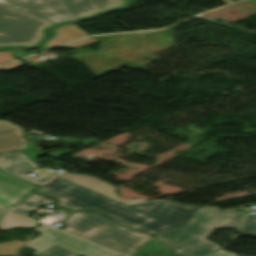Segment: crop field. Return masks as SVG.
<instances>
[{"label": "crop field", "instance_id": "crop-field-1", "mask_svg": "<svg viewBox=\"0 0 256 256\" xmlns=\"http://www.w3.org/2000/svg\"><path fill=\"white\" fill-rule=\"evenodd\" d=\"M37 193L58 200L57 205L70 210L96 211L122 225L154 236L178 226L183 228L198 209L171 201H146L126 206L60 177Z\"/></svg>", "mask_w": 256, "mask_h": 256}, {"label": "crop field", "instance_id": "crop-field-2", "mask_svg": "<svg viewBox=\"0 0 256 256\" xmlns=\"http://www.w3.org/2000/svg\"><path fill=\"white\" fill-rule=\"evenodd\" d=\"M217 207H199L187 225L157 236L178 254L205 256L220 248V245L205 240L215 228H238L244 212L237 209L222 210Z\"/></svg>", "mask_w": 256, "mask_h": 256}, {"label": "crop field", "instance_id": "crop-field-3", "mask_svg": "<svg viewBox=\"0 0 256 256\" xmlns=\"http://www.w3.org/2000/svg\"><path fill=\"white\" fill-rule=\"evenodd\" d=\"M63 222L62 230L127 256H132L153 237L121 227L96 213L74 212Z\"/></svg>", "mask_w": 256, "mask_h": 256}, {"label": "crop field", "instance_id": "crop-field-4", "mask_svg": "<svg viewBox=\"0 0 256 256\" xmlns=\"http://www.w3.org/2000/svg\"><path fill=\"white\" fill-rule=\"evenodd\" d=\"M55 23L0 4V47L33 46L42 30Z\"/></svg>", "mask_w": 256, "mask_h": 256}, {"label": "crop field", "instance_id": "crop-field-5", "mask_svg": "<svg viewBox=\"0 0 256 256\" xmlns=\"http://www.w3.org/2000/svg\"><path fill=\"white\" fill-rule=\"evenodd\" d=\"M37 231L43 234L31 242L27 240L28 243L24 245L36 249L34 256L40 255L55 244L82 256H120L46 226Z\"/></svg>", "mask_w": 256, "mask_h": 256}, {"label": "crop field", "instance_id": "crop-field-6", "mask_svg": "<svg viewBox=\"0 0 256 256\" xmlns=\"http://www.w3.org/2000/svg\"><path fill=\"white\" fill-rule=\"evenodd\" d=\"M0 3L55 23L77 19L59 0H0Z\"/></svg>", "mask_w": 256, "mask_h": 256}, {"label": "crop field", "instance_id": "crop-field-7", "mask_svg": "<svg viewBox=\"0 0 256 256\" xmlns=\"http://www.w3.org/2000/svg\"><path fill=\"white\" fill-rule=\"evenodd\" d=\"M0 169L7 174L21 178L39 186L43 185L44 183L58 175L49 171L48 169L34 171L35 173H39V175L36 177H29L25 175V172L37 169V167L32 164L19 151L1 154Z\"/></svg>", "mask_w": 256, "mask_h": 256}, {"label": "crop field", "instance_id": "crop-field-8", "mask_svg": "<svg viewBox=\"0 0 256 256\" xmlns=\"http://www.w3.org/2000/svg\"><path fill=\"white\" fill-rule=\"evenodd\" d=\"M37 187L0 171V206H11Z\"/></svg>", "mask_w": 256, "mask_h": 256}, {"label": "crop field", "instance_id": "crop-field-9", "mask_svg": "<svg viewBox=\"0 0 256 256\" xmlns=\"http://www.w3.org/2000/svg\"><path fill=\"white\" fill-rule=\"evenodd\" d=\"M60 177L69 180L73 183H76L80 186L89 188L91 190L97 191L113 200H116L118 202L124 203L126 205L145 201L147 199H125V198H119L117 197V194L114 193L115 187L100 181L94 177L85 176V175H78V174H71V173H64L60 175Z\"/></svg>", "mask_w": 256, "mask_h": 256}, {"label": "crop field", "instance_id": "crop-field-10", "mask_svg": "<svg viewBox=\"0 0 256 256\" xmlns=\"http://www.w3.org/2000/svg\"><path fill=\"white\" fill-rule=\"evenodd\" d=\"M80 19L124 5L122 0H60Z\"/></svg>", "mask_w": 256, "mask_h": 256}, {"label": "crop field", "instance_id": "crop-field-11", "mask_svg": "<svg viewBox=\"0 0 256 256\" xmlns=\"http://www.w3.org/2000/svg\"><path fill=\"white\" fill-rule=\"evenodd\" d=\"M23 148L26 147L20 129L9 123L0 122V152Z\"/></svg>", "mask_w": 256, "mask_h": 256}, {"label": "crop field", "instance_id": "crop-field-12", "mask_svg": "<svg viewBox=\"0 0 256 256\" xmlns=\"http://www.w3.org/2000/svg\"><path fill=\"white\" fill-rule=\"evenodd\" d=\"M53 203L56 202L47 197L40 196L34 193L31 196L19 202L18 204H16L15 206H13L12 208H10V210L26 216L40 206L49 205Z\"/></svg>", "mask_w": 256, "mask_h": 256}, {"label": "crop field", "instance_id": "crop-field-13", "mask_svg": "<svg viewBox=\"0 0 256 256\" xmlns=\"http://www.w3.org/2000/svg\"><path fill=\"white\" fill-rule=\"evenodd\" d=\"M36 222L18 216L7 211V214L0 226V230H8L16 227H34Z\"/></svg>", "mask_w": 256, "mask_h": 256}, {"label": "crop field", "instance_id": "crop-field-14", "mask_svg": "<svg viewBox=\"0 0 256 256\" xmlns=\"http://www.w3.org/2000/svg\"><path fill=\"white\" fill-rule=\"evenodd\" d=\"M240 232L243 234H246V232L250 233L246 235H256V215H247Z\"/></svg>", "mask_w": 256, "mask_h": 256}, {"label": "crop field", "instance_id": "crop-field-15", "mask_svg": "<svg viewBox=\"0 0 256 256\" xmlns=\"http://www.w3.org/2000/svg\"><path fill=\"white\" fill-rule=\"evenodd\" d=\"M40 256H79V255L55 245L49 250H47L46 252H44L43 254H41Z\"/></svg>", "mask_w": 256, "mask_h": 256}, {"label": "crop field", "instance_id": "crop-field-16", "mask_svg": "<svg viewBox=\"0 0 256 256\" xmlns=\"http://www.w3.org/2000/svg\"><path fill=\"white\" fill-rule=\"evenodd\" d=\"M211 256H235V255L228 254V253H216V254L211 255Z\"/></svg>", "mask_w": 256, "mask_h": 256}, {"label": "crop field", "instance_id": "crop-field-17", "mask_svg": "<svg viewBox=\"0 0 256 256\" xmlns=\"http://www.w3.org/2000/svg\"><path fill=\"white\" fill-rule=\"evenodd\" d=\"M5 213H6L5 210L0 209V224H1L2 220H3V217H4Z\"/></svg>", "mask_w": 256, "mask_h": 256}]
</instances>
